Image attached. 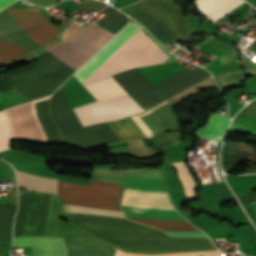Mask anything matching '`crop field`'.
I'll return each mask as SVG.
<instances>
[{"label": "crop field", "mask_w": 256, "mask_h": 256, "mask_svg": "<svg viewBox=\"0 0 256 256\" xmlns=\"http://www.w3.org/2000/svg\"><path fill=\"white\" fill-rule=\"evenodd\" d=\"M117 11L110 6L102 11L105 15L100 27L114 34L121 29L128 19ZM80 26L81 24L75 23L69 27L62 38L74 34ZM112 36L113 34L89 24L47 51L77 70ZM47 51L39 56L37 62L3 74L0 90L6 93L14 89L27 101L53 93L76 70Z\"/></svg>", "instance_id": "1"}, {"label": "crop field", "mask_w": 256, "mask_h": 256, "mask_svg": "<svg viewBox=\"0 0 256 256\" xmlns=\"http://www.w3.org/2000/svg\"><path fill=\"white\" fill-rule=\"evenodd\" d=\"M209 76V72L197 67L191 71L185 70L153 87L136 69L113 78L143 110H147ZM113 78L109 76L84 84L97 101L73 109L83 127L114 121L143 111Z\"/></svg>", "instance_id": "2"}, {"label": "crop field", "mask_w": 256, "mask_h": 256, "mask_svg": "<svg viewBox=\"0 0 256 256\" xmlns=\"http://www.w3.org/2000/svg\"><path fill=\"white\" fill-rule=\"evenodd\" d=\"M68 219L123 252L159 254L216 250L207 238L169 237L160 230L122 218L68 213Z\"/></svg>", "instance_id": "3"}, {"label": "crop field", "mask_w": 256, "mask_h": 256, "mask_svg": "<svg viewBox=\"0 0 256 256\" xmlns=\"http://www.w3.org/2000/svg\"><path fill=\"white\" fill-rule=\"evenodd\" d=\"M142 23L161 43L178 41L190 35L181 10L167 0H142L120 9Z\"/></svg>", "instance_id": "4"}, {"label": "crop field", "mask_w": 256, "mask_h": 256, "mask_svg": "<svg viewBox=\"0 0 256 256\" xmlns=\"http://www.w3.org/2000/svg\"><path fill=\"white\" fill-rule=\"evenodd\" d=\"M50 110L66 143L88 147L120 141L107 123L83 128L61 87L52 96Z\"/></svg>", "instance_id": "5"}, {"label": "crop field", "mask_w": 256, "mask_h": 256, "mask_svg": "<svg viewBox=\"0 0 256 256\" xmlns=\"http://www.w3.org/2000/svg\"><path fill=\"white\" fill-rule=\"evenodd\" d=\"M169 56L141 30L82 84L126 69L160 63Z\"/></svg>", "instance_id": "6"}, {"label": "crop field", "mask_w": 256, "mask_h": 256, "mask_svg": "<svg viewBox=\"0 0 256 256\" xmlns=\"http://www.w3.org/2000/svg\"><path fill=\"white\" fill-rule=\"evenodd\" d=\"M123 187L117 183L91 179L88 185L58 181V194L64 203L122 210Z\"/></svg>", "instance_id": "7"}, {"label": "crop field", "mask_w": 256, "mask_h": 256, "mask_svg": "<svg viewBox=\"0 0 256 256\" xmlns=\"http://www.w3.org/2000/svg\"><path fill=\"white\" fill-rule=\"evenodd\" d=\"M68 249L66 256H114L115 248L101 242L93 236L70 237L63 238ZM221 256L218 251L209 252H192V253H176V254H137L123 253L116 250L115 256Z\"/></svg>", "instance_id": "8"}, {"label": "crop field", "mask_w": 256, "mask_h": 256, "mask_svg": "<svg viewBox=\"0 0 256 256\" xmlns=\"http://www.w3.org/2000/svg\"><path fill=\"white\" fill-rule=\"evenodd\" d=\"M147 138L165 129H179L180 122L165 101L145 112L131 117Z\"/></svg>", "instance_id": "9"}, {"label": "crop field", "mask_w": 256, "mask_h": 256, "mask_svg": "<svg viewBox=\"0 0 256 256\" xmlns=\"http://www.w3.org/2000/svg\"><path fill=\"white\" fill-rule=\"evenodd\" d=\"M8 10L27 33L41 46L61 32L49 22L39 8Z\"/></svg>", "instance_id": "10"}, {"label": "crop field", "mask_w": 256, "mask_h": 256, "mask_svg": "<svg viewBox=\"0 0 256 256\" xmlns=\"http://www.w3.org/2000/svg\"><path fill=\"white\" fill-rule=\"evenodd\" d=\"M142 27L136 23H129L115 37H113L101 50H99L75 74L81 83L125 44Z\"/></svg>", "instance_id": "11"}, {"label": "crop field", "mask_w": 256, "mask_h": 256, "mask_svg": "<svg viewBox=\"0 0 256 256\" xmlns=\"http://www.w3.org/2000/svg\"><path fill=\"white\" fill-rule=\"evenodd\" d=\"M109 126L116 133L120 140L144 138V134L135 125L130 117L120 121L109 122ZM132 155L140 158L150 157L151 154L143 143L142 139L127 140Z\"/></svg>", "instance_id": "12"}, {"label": "crop field", "mask_w": 256, "mask_h": 256, "mask_svg": "<svg viewBox=\"0 0 256 256\" xmlns=\"http://www.w3.org/2000/svg\"><path fill=\"white\" fill-rule=\"evenodd\" d=\"M0 36L30 52L40 47V45L19 25L7 9L0 13Z\"/></svg>", "instance_id": "13"}, {"label": "crop field", "mask_w": 256, "mask_h": 256, "mask_svg": "<svg viewBox=\"0 0 256 256\" xmlns=\"http://www.w3.org/2000/svg\"><path fill=\"white\" fill-rule=\"evenodd\" d=\"M13 246H32L33 256H65L67 252L62 238H14Z\"/></svg>", "instance_id": "14"}, {"label": "crop field", "mask_w": 256, "mask_h": 256, "mask_svg": "<svg viewBox=\"0 0 256 256\" xmlns=\"http://www.w3.org/2000/svg\"><path fill=\"white\" fill-rule=\"evenodd\" d=\"M243 0H194L198 11L211 22H216L226 13L240 5Z\"/></svg>", "instance_id": "15"}, {"label": "crop field", "mask_w": 256, "mask_h": 256, "mask_svg": "<svg viewBox=\"0 0 256 256\" xmlns=\"http://www.w3.org/2000/svg\"><path fill=\"white\" fill-rule=\"evenodd\" d=\"M126 217L185 220L177 212L168 209L122 206Z\"/></svg>", "instance_id": "16"}, {"label": "crop field", "mask_w": 256, "mask_h": 256, "mask_svg": "<svg viewBox=\"0 0 256 256\" xmlns=\"http://www.w3.org/2000/svg\"><path fill=\"white\" fill-rule=\"evenodd\" d=\"M125 189L166 192L162 178L134 176L119 180Z\"/></svg>", "instance_id": "17"}, {"label": "crop field", "mask_w": 256, "mask_h": 256, "mask_svg": "<svg viewBox=\"0 0 256 256\" xmlns=\"http://www.w3.org/2000/svg\"><path fill=\"white\" fill-rule=\"evenodd\" d=\"M228 122L227 116L211 113L207 124L198 129L195 135L213 139L225 132Z\"/></svg>", "instance_id": "18"}, {"label": "crop field", "mask_w": 256, "mask_h": 256, "mask_svg": "<svg viewBox=\"0 0 256 256\" xmlns=\"http://www.w3.org/2000/svg\"><path fill=\"white\" fill-rule=\"evenodd\" d=\"M154 227H158L162 230H191V231H199L195 229L190 223L187 221H169V220H155V219H135L130 218Z\"/></svg>", "instance_id": "19"}, {"label": "crop field", "mask_w": 256, "mask_h": 256, "mask_svg": "<svg viewBox=\"0 0 256 256\" xmlns=\"http://www.w3.org/2000/svg\"><path fill=\"white\" fill-rule=\"evenodd\" d=\"M28 53L30 52L0 37V65L6 64L11 60L19 58Z\"/></svg>", "instance_id": "20"}, {"label": "crop field", "mask_w": 256, "mask_h": 256, "mask_svg": "<svg viewBox=\"0 0 256 256\" xmlns=\"http://www.w3.org/2000/svg\"><path fill=\"white\" fill-rule=\"evenodd\" d=\"M173 166L176 168L178 178L183 186L184 192L186 194V198H193L195 197L193 194V190L195 189V184L190 177L188 171L184 167L183 162H174L172 163Z\"/></svg>", "instance_id": "21"}, {"label": "crop field", "mask_w": 256, "mask_h": 256, "mask_svg": "<svg viewBox=\"0 0 256 256\" xmlns=\"http://www.w3.org/2000/svg\"><path fill=\"white\" fill-rule=\"evenodd\" d=\"M67 212L73 213H89V214H97V215H106V216H115V217H123L122 212L117 211H109V210H102L90 207H81V206H71L67 204H63Z\"/></svg>", "instance_id": "22"}, {"label": "crop field", "mask_w": 256, "mask_h": 256, "mask_svg": "<svg viewBox=\"0 0 256 256\" xmlns=\"http://www.w3.org/2000/svg\"><path fill=\"white\" fill-rule=\"evenodd\" d=\"M209 87H213V88H217L216 84L214 83L212 77L211 78H208L206 79L205 81L191 87L190 89L168 99L171 106H173L174 104L178 103L179 101H181L183 98L187 97L188 95L192 94V93H195L197 91H200L202 89H205V88H209Z\"/></svg>", "instance_id": "23"}, {"label": "crop field", "mask_w": 256, "mask_h": 256, "mask_svg": "<svg viewBox=\"0 0 256 256\" xmlns=\"http://www.w3.org/2000/svg\"><path fill=\"white\" fill-rule=\"evenodd\" d=\"M10 131L5 112H0V151L9 148Z\"/></svg>", "instance_id": "24"}, {"label": "crop field", "mask_w": 256, "mask_h": 256, "mask_svg": "<svg viewBox=\"0 0 256 256\" xmlns=\"http://www.w3.org/2000/svg\"><path fill=\"white\" fill-rule=\"evenodd\" d=\"M106 6L107 5L97 1V2H94V3L87 4V5L78 6L74 9H72L71 11H69L68 14L70 15L73 12L80 11L82 9L85 10V11H100Z\"/></svg>", "instance_id": "25"}, {"label": "crop field", "mask_w": 256, "mask_h": 256, "mask_svg": "<svg viewBox=\"0 0 256 256\" xmlns=\"http://www.w3.org/2000/svg\"><path fill=\"white\" fill-rule=\"evenodd\" d=\"M242 205L256 201V192L251 193L245 197L239 198Z\"/></svg>", "instance_id": "26"}, {"label": "crop field", "mask_w": 256, "mask_h": 256, "mask_svg": "<svg viewBox=\"0 0 256 256\" xmlns=\"http://www.w3.org/2000/svg\"><path fill=\"white\" fill-rule=\"evenodd\" d=\"M245 112L256 116V102L253 103V104H251V105L245 110Z\"/></svg>", "instance_id": "27"}, {"label": "crop field", "mask_w": 256, "mask_h": 256, "mask_svg": "<svg viewBox=\"0 0 256 256\" xmlns=\"http://www.w3.org/2000/svg\"><path fill=\"white\" fill-rule=\"evenodd\" d=\"M15 0H0V10Z\"/></svg>", "instance_id": "28"}, {"label": "crop field", "mask_w": 256, "mask_h": 256, "mask_svg": "<svg viewBox=\"0 0 256 256\" xmlns=\"http://www.w3.org/2000/svg\"><path fill=\"white\" fill-rule=\"evenodd\" d=\"M250 206H251V209L253 210V212L256 215V202L255 203H251Z\"/></svg>", "instance_id": "29"}, {"label": "crop field", "mask_w": 256, "mask_h": 256, "mask_svg": "<svg viewBox=\"0 0 256 256\" xmlns=\"http://www.w3.org/2000/svg\"><path fill=\"white\" fill-rule=\"evenodd\" d=\"M6 177L5 175L3 174L2 170L0 169V180H5Z\"/></svg>", "instance_id": "30"}, {"label": "crop field", "mask_w": 256, "mask_h": 256, "mask_svg": "<svg viewBox=\"0 0 256 256\" xmlns=\"http://www.w3.org/2000/svg\"><path fill=\"white\" fill-rule=\"evenodd\" d=\"M249 49L256 52V42Z\"/></svg>", "instance_id": "31"}, {"label": "crop field", "mask_w": 256, "mask_h": 256, "mask_svg": "<svg viewBox=\"0 0 256 256\" xmlns=\"http://www.w3.org/2000/svg\"><path fill=\"white\" fill-rule=\"evenodd\" d=\"M247 1L250 2L256 8V0H247Z\"/></svg>", "instance_id": "32"}, {"label": "crop field", "mask_w": 256, "mask_h": 256, "mask_svg": "<svg viewBox=\"0 0 256 256\" xmlns=\"http://www.w3.org/2000/svg\"><path fill=\"white\" fill-rule=\"evenodd\" d=\"M0 255H1V253H0Z\"/></svg>", "instance_id": "33"}, {"label": "crop field", "mask_w": 256, "mask_h": 256, "mask_svg": "<svg viewBox=\"0 0 256 256\" xmlns=\"http://www.w3.org/2000/svg\"><path fill=\"white\" fill-rule=\"evenodd\" d=\"M27 1V0H26Z\"/></svg>", "instance_id": "34"}]
</instances>
